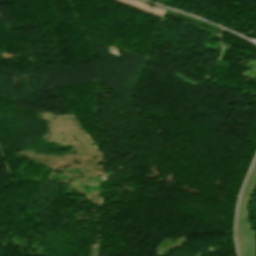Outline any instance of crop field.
I'll use <instances>...</instances> for the list:
<instances>
[{"label":"crop field","instance_id":"crop-field-1","mask_svg":"<svg viewBox=\"0 0 256 256\" xmlns=\"http://www.w3.org/2000/svg\"><path fill=\"white\" fill-rule=\"evenodd\" d=\"M119 1L125 2L127 4L139 7L141 9H144V10H147V11L159 14V15H162L163 12L165 11L164 9H160V8H156V7H149L147 4H144L137 0H119Z\"/></svg>","mask_w":256,"mask_h":256}]
</instances>
